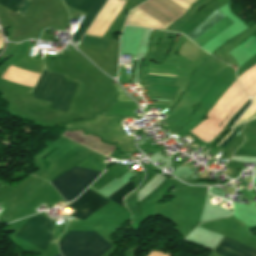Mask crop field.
<instances>
[{
	"label": "crop field",
	"mask_w": 256,
	"mask_h": 256,
	"mask_svg": "<svg viewBox=\"0 0 256 256\" xmlns=\"http://www.w3.org/2000/svg\"><path fill=\"white\" fill-rule=\"evenodd\" d=\"M72 231H68L60 244ZM112 246L96 232L73 231L60 245L62 256H102Z\"/></svg>",
	"instance_id": "1"
},
{
	"label": "crop field",
	"mask_w": 256,
	"mask_h": 256,
	"mask_svg": "<svg viewBox=\"0 0 256 256\" xmlns=\"http://www.w3.org/2000/svg\"><path fill=\"white\" fill-rule=\"evenodd\" d=\"M60 77L61 75L53 74L44 70L34 90V97L40 100L52 101ZM76 84L77 83L65 82L62 76L50 108L67 111L70 99L75 91Z\"/></svg>",
	"instance_id": "2"
},
{
	"label": "crop field",
	"mask_w": 256,
	"mask_h": 256,
	"mask_svg": "<svg viewBox=\"0 0 256 256\" xmlns=\"http://www.w3.org/2000/svg\"><path fill=\"white\" fill-rule=\"evenodd\" d=\"M100 174V172L73 167L50 183L69 202L74 200Z\"/></svg>",
	"instance_id": "3"
},
{
	"label": "crop field",
	"mask_w": 256,
	"mask_h": 256,
	"mask_svg": "<svg viewBox=\"0 0 256 256\" xmlns=\"http://www.w3.org/2000/svg\"><path fill=\"white\" fill-rule=\"evenodd\" d=\"M53 231L52 222L39 215L28 220L15 236L44 250L52 239Z\"/></svg>",
	"instance_id": "4"
},
{
	"label": "crop field",
	"mask_w": 256,
	"mask_h": 256,
	"mask_svg": "<svg viewBox=\"0 0 256 256\" xmlns=\"http://www.w3.org/2000/svg\"><path fill=\"white\" fill-rule=\"evenodd\" d=\"M225 15H223L218 10L214 11L208 18H206L200 25L190 31L186 36L191 40H196L202 34H204L207 30L213 27L219 20H221ZM233 22L229 20L226 16L219 21L213 28H211L208 32L198 38L195 43H197L200 47L228 27Z\"/></svg>",
	"instance_id": "5"
},
{
	"label": "crop field",
	"mask_w": 256,
	"mask_h": 256,
	"mask_svg": "<svg viewBox=\"0 0 256 256\" xmlns=\"http://www.w3.org/2000/svg\"><path fill=\"white\" fill-rule=\"evenodd\" d=\"M106 203H108L107 200L88 189L69 208L77 211L73 217L84 221Z\"/></svg>",
	"instance_id": "6"
},
{
	"label": "crop field",
	"mask_w": 256,
	"mask_h": 256,
	"mask_svg": "<svg viewBox=\"0 0 256 256\" xmlns=\"http://www.w3.org/2000/svg\"><path fill=\"white\" fill-rule=\"evenodd\" d=\"M249 248V246L224 237L214 252L221 256H241ZM242 256H256V251L250 248Z\"/></svg>",
	"instance_id": "7"
},
{
	"label": "crop field",
	"mask_w": 256,
	"mask_h": 256,
	"mask_svg": "<svg viewBox=\"0 0 256 256\" xmlns=\"http://www.w3.org/2000/svg\"><path fill=\"white\" fill-rule=\"evenodd\" d=\"M106 0H96L92 8L90 9L89 13L81 23L80 27L78 28L77 32L73 35V40H80L85 30L88 28L89 24L93 20L94 16L98 13V11L102 8L105 4Z\"/></svg>",
	"instance_id": "8"
},
{
	"label": "crop field",
	"mask_w": 256,
	"mask_h": 256,
	"mask_svg": "<svg viewBox=\"0 0 256 256\" xmlns=\"http://www.w3.org/2000/svg\"><path fill=\"white\" fill-rule=\"evenodd\" d=\"M132 190H134L133 181L128 182L127 184L122 186L120 189H118L116 192H114L108 198L124 207L123 202H122L123 196L129 194Z\"/></svg>",
	"instance_id": "9"
},
{
	"label": "crop field",
	"mask_w": 256,
	"mask_h": 256,
	"mask_svg": "<svg viewBox=\"0 0 256 256\" xmlns=\"http://www.w3.org/2000/svg\"><path fill=\"white\" fill-rule=\"evenodd\" d=\"M94 0H64V3L66 5L84 10L88 12V10L91 8Z\"/></svg>",
	"instance_id": "10"
},
{
	"label": "crop field",
	"mask_w": 256,
	"mask_h": 256,
	"mask_svg": "<svg viewBox=\"0 0 256 256\" xmlns=\"http://www.w3.org/2000/svg\"><path fill=\"white\" fill-rule=\"evenodd\" d=\"M147 74H149V69H147ZM175 78L176 77L147 76V83L173 85Z\"/></svg>",
	"instance_id": "11"
},
{
	"label": "crop field",
	"mask_w": 256,
	"mask_h": 256,
	"mask_svg": "<svg viewBox=\"0 0 256 256\" xmlns=\"http://www.w3.org/2000/svg\"><path fill=\"white\" fill-rule=\"evenodd\" d=\"M244 125L245 124L233 129L232 130L233 132L231 131L232 133L230 132L231 134L229 133L230 135L228 134L229 136L227 135L228 137L226 136L227 138L225 137L226 139L224 138L225 140L223 139L224 141L222 140L223 142L221 141L222 143L220 142L221 144L220 143H219L220 145L218 144L219 147L225 148L227 146V144L231 141V139L237 134V132L243 128Z\"/></svg>",
	"instance_id": "12"
},
{
	"label": "crop field",
	"mask_w": 256,
	"mask_h": 256,
	"mask_svg": "<svg viewBox=\"0 0 256 256\" xmlns=\"http://www.w3.org/2000/svg\"><path fill=\"white\" fill-rule=\"evenodd\" d=\"M31 1L32 0H26V2H25V0H11L10 3H9V6H13V7L21 9L23 4H24V2H25V4H24L22 9L27 11Z\"/></svg>",
	"instance_id": "13"
},
{
	"label": "crop field",
	"mask_w": 256,
	"mask_h": 256,
	"mask_svg": "<svg viewBox=\"0 0 256 256\" xmlns=\"http://www.w3.org/2000/svg\"><path fill=\"white\" fill-rule=\"evenodd\" d=\"M250 104V100L234 115L228 126H230L240 115L241 113L246 109V107Z\"/></svg>",
	"instance_id": "14"
},
{
	"label": "crop field",
	"mask_w": 256,
	"mask_h": 256,
	"mask_svg": "<svg viewBox=\"0 0 256 256\" xmlns=\"http://www.w3.org/2000/svg\"><path fill=\"white\" fill-rule=\"evenodd\" d=\"M187 135L188 136H190L191 138H193L195 141H194V143H196V144H201L203 141H201L199 138H197L196 136H194L192 133H187Z\"/></svg>",
	"instance_id": "15"
},
{
	"label": "crop field",
	"mask_w": 256,
	"mask_h": 256,
	"mask_svg": "<svg viewBox=\"0 0 256 256\" xmlns=\"http://www.w3.org/2000/svg\"><path fill=\"white\" fill-rule=\"evenodd\" d=\"M8 2H9V0H0V3H2V4H8Z\"/></svg>",
	"instance_id": "16"
},
{
	"label": "crop field",
	"mask_w": 256,
	"mask_h": 256,
	"mask_svg": "<svg viewBox=\"0 0 256 256\" xmlns=\"http://www.w3.org/2000/svg\"><path fill=\"white\" fill-rule=\"evenodd\" d=\"M57 256H61V255L59 254V255H57Z\"/></svg>",
	"instance_id": "17"
}]
</instances>
